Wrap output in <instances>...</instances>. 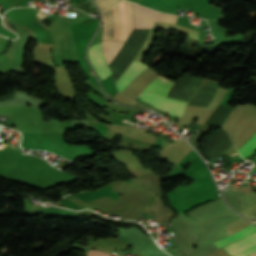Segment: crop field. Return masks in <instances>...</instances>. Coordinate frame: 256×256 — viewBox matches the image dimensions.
<instances>
[{
    "label": "crop field",
    "instance_id": "1",
    "mask_svg": "<svg viewBox=\"0 0 256 256\" xmlns=\"http://www.w3.org/2000/svg\"><path fill=\"white\" fill-rule=\"evenodd\" d=\"M101 13L104 20L102 39L126 41L133 29L131 3L120 0L114 6L102 10Z\"/></svg>",
    "mask_w": 256,
    "mask_h": 256
},
{
    "label": "crop field",
    "instance_id": "2",
    "mask_svg": "<svg viewBox=\"0 0 256 256\" xmlns=\"http://www.w3.org/2000/svg\"><path fill=\"white\" fill-rule=\"evenodd\" d=\"M134 28H151L157 16V12L132 3ZM178 16L158 12L155 21H163L176 24Z\"/></svg>",
    "mask_w": 256,
    "mask_h": 256
},
{
    "label": "crop field",
    "instance_id": "3",
    "mask_svg": "<svg viewBox=\"0 0 256 256\" xmlns=\"http://www.w3.org/2000/svg\"><path fill=\"white\" fill-rule=\"evenodd\" d=\"M141 100L146 101L153 105L155 108L161 109L173 116L180 118L184 113L186 103L154 95L142 91L138 96Z\"/></svg>",
    "mask_w": 256,
    "mask_h": 256
},
{
    "label": "crop field",
    "instance_id": "4",
    "mask_svg": "<svg viewBox=\"0 0 256 256\" xmlns=\"http://www.w3.org/2000/svg\"><path fill=\"white\" fill-rule=\"evenodd\" d=\"M224 249L233 256H248L256 251V232L224 247Z\"/></svg>",
    "mask_w": 256,
    "mask_h": 256
},
{
    "label": "crop field",
    "instance_id": "5",
    "mask_svg": "<svg viewBox=\"0 0 256 256\" xmlns=\"http://www.w3.org/2000/svg\"><path fill=\"white\" fill-rule=\"evenodd\" d=\"M89 57L101 79L111 74L103 58L101 43H97L89 48Z\"/></svg>",
    "mask_w": 256,
    "mask_h": 256
},
{
    "label": "crop field",
    "instance_id": "6",
    "mask_svg": "<svg viewBox=\"0 0 256 256\" xmlns=\"http://www.w3.org/2000/svg\"><path fill=\"white\" fill-rule=\"evenodd\" d=\"M148 66L133 61L129 68L122 74V76L117 81V87L119 91L127 86L137 75H139L144 69H146ZM123 91V90H122Z\"/></svg>",
    "mask_w": 256,
    "mask_h": 256
},
{
    "label": "crop field",
    "instance_id": "7",
    "mask_svg": "<svg viewBox=\"0 0 256 256\" xmlns=\"http://www.w3.org/2000/svg\"><path fill=\"white\" fill-rule=\"evenodd\" d=\"M255 230H256V227L251 224V225H249L248 227H246V228L240 230L239 232H237V233H235V234H233V235H231V236H229V237H227V238H224V239H221V240H219V241H217V242H214V244H215L218 248H220V247H222V246H225V245H227V244H230V243H232V242H234V241H237V240H239V239H241V238H243V237H245V236H247V235L253 233Z\"/></svg>",
    "mask_w": 256,
    "mask_h": 256
},
{
    "label": "crop field",
    "instance_id": "8",
    "mask_svg": "<svg viewBox=\"0 0 256 256\" xmlns=\"http://www.w3.org/2000/svg\"><path fill=\"white\" fill-rule=\"evenodd\" d=\"M124 44L122 41H102L103 52L108 65L111 63L112 59Z\"/></svg>",
    "mask_w": 256,
    "mask_h": 256
},
{
    "label": "crop field",
    "instance_id": "9",
    "mask_svg": "<svg viewBox=\"0 0 256 256\" xmlns=\"http://www.w3.org/2000/svg\"><path fill=\"white\" fill-rule=\"evenodd\" d=\"M256 148V133L238 151L244 159Z\"/></svg>",
    "mask_w": 256,
    "mask_h": 256
},
{
    "label": "crop field",
    "instance_id": "10",
    "mask_svg": "<svg viewBox=\"0 0 256 256\" xmlns=\"http://www.w3.org/2000/svg\"><path fill=\"white\" fill-rule=\"evenodd\" d=\"M118 1L119 0H99L95 3L99 6L100 10H102L109 6H112L113 4L117 3Z\"/></svg>",
    "mask_w": 256,
    "mask_h": 256
},
{
    "label": "crop field",
    "instance_id": "11",
    "mask_svg": "<svg viewBox=\"0 0 256 256\" xmlns=\"http://www.w3.org/2000/svg\"><path fill=\"white\" fill-rule=\"evenodd\" d=\"M86 256H110V254H106L98 250L93 251L90 249Z\"/></svg>",
    "mask_w": 256,
    "mask_h": 256
},
{
    "label": "crop field",
    "instance_id": "12",
    "mask_svg": "<svg viewBox=\"0 0 256 256\" xmlns=\"http://www.w3.org/2000/svg\"><path fill=\"white\" fill-rule=\"evenodd\" d=\"M250 256H256V253H254V254H252V255H250Z\"/></svg>",
    "mask_w": 256,
    "mask_h": 256
},
{
    "label": "crop field",
    "instance_id": "13",
    "mask_svg": "<svg viewBox=\"0 0 256 256\" xmlns=\"http://www.w3.org/2000/svg\"><path fill=\"white\" fill-rule=\"evenodd\" d=\"M254 224H256V222Z\"/></svg>",
    "mask_w": 256,
    "mask_h": 256
}]
</instances>
